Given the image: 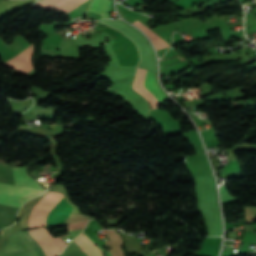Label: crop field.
I'll return each mask as SVG.
<instances>
[{"instance_id": "8", "label": "crop field", "mask_w": 256, "mask_h": 256, "mask_svg": "<svg viewBox=\"0 0 256 256\" xmlns=\"http://www.w3.org/2000/svg\"><path fill=\"white\" fill-rule=\"evenodd\" d=\"M3 232V231H2ZM2 232H0V233H2Z\"/></svg>"}, {"instance_id": "2", "label": "crop field", "mask_w": 256, "mask_h": 256, "mask_svg": "<svg viewBox=\"0 0 256 256\" xmlns=\"http://www.w3.org/2000/svg\"><path fill=\"white\" fill-rule=\"evenodd\" d=\"M144 69H139L137 71V75L134 80L133 88L141 93L146 99L149 100L152 107L155 108L159 105V103H163L164 100H169L167 96L163 93V91L159 88L156 80L154 79V73L150 71H146L147 75L145 74ZM144 74L146 75L144 86L160 101H158L146 88V90L159 102H157L142 86V81L144 78ZM160 103V104H161Z\"/></svg>"}, {"instance_id": "4", "label": "crop field", "mask_w": 256, "mask_h": 256, "mask_svg": "<svg viewBox=\"0 0 256 256\" xmlns=\"http://www.w3.org/2000/svg\"><path fill=\"white\" fill-rule=\"evenodd\" d=\"M63 1H65V0H42V1H39V2L35 3L34 5H32L31 8H33L35 6H42V7L50 8V7L57 5ZM85 1H87V0H67L57 6L52 7V9L68 13L69 11L73 10L74 8H76L80 4L84 3Z\"/></svg>"}, {"instance_id": "7", "label": "crop field", "mask_w": 256, "mask_h": 256, "mask_svg": "<svg viewBox=\"0 0 256 256\" xmlns=\"http://www.w3.org/2000/svg\"><path fill=\"white\" fill-rule=\"evenodd\" d=\"M19 234L27 240L30 246L35 250L37 256H45L41 245L27 231L20 232Z\"/></svg>"}, {"instance_id": "1", "label": "crop field", "mask_w": 256, "mask_h": 256, "mask_svg": "<svg viewBox=\"0 0 256 256\" xmlns=\"http://www.w3.org/2000/svg\"><path fill=\"white\" fill-rule=\"evenodd\" d=\"M14 184L0 183V204L19 208L27 200L37 197L45 192L27 174V166L14 168Z\"/></svg>"}, {"instance_id": "5", "label": "crop field", "mask_w": 256, "mask_h": 256, "mask_svg": "<svg viewBox=\"0 0 256 256\" xmlns=\"http://www.w3.org/2000/svg\"><path fill=\"white\" fill-rule=\"evenodd\" d=\"M132 24H134L135 26H137L138 28H140L142 31H144L147 34V36L150 38V40L154 44L156 50L167 48L169 46L163 39H161L159 36H157L155 33H153L151 30H149L146 26H144L138 20Z\"/></svg>"}, {"instance_id": "3", "label": "crop field", "mask_w": 256, "mask_h": 256, "mask_svg": "<svg viewBox=\"0 0 256 256\" xmlns=\"http://www.w3.org/2000/svg\"><path fill=\"white\" fill-rule=\"evenodd\" d=\"M62 197L63 195L60 193L48 191L43 199L33 208L30 214L29 227L34 228L45 226L49 212Z\"/></svg>"}, {"instance_id": "6", "label": "crop field", "mask_w": 256, "mask_h": 256, "mask_svg": "<svg viewBox=\"0 0 256 256\" xmlns=\"http://www.w3.org/2000/svg\"><path fill=\"white\" fill-rule=\"evenodd\" d=\"M109 0H93L91 4L90 11L101 15V18H110L108 15V10L110 7Z\"/></svg>"}, {"instance_id": "9", "label": "crop field", "mask_w": 256, "mask_h": 256, "mask_svg": "<svg viewBox=\"0 0 256 256\" xmlns=\"http://www.w3.org/2000/svg\"><path fill=\"white\" fill-rule=\"evenodd\" d=\"M90 17H93V16H90Z\"/></svg>"}]
</instances>
